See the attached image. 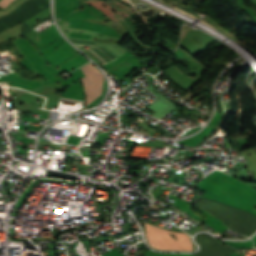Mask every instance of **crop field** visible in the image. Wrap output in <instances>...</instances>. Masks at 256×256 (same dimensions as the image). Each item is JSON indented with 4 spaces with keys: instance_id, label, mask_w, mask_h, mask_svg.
I'll use <instances>...</instances> for the list:
<instances>
[{
    "instance_id": "8a807250",
    "label": "crop field",
    "mask_w": 256,
    "mask_h": 256,
    "mask_svg": "<svg viewBox=\"0 0 256 256\" xmlns=\"http://www.w3.org/2000/svg\"><path fill=\"white\" fill-rule=\"evenodd\" d=\"M146 237L150 246L156 249L165 250H191V239L185 233H174L169 230L157 228L145 223ZM168 233H173L177 236V241L174 240Z\"/></svg>"
},
{
    "instance_id": "ac0d7876",
    "label": "crop field",
    "mask_w": 256,
    "mask_h": 256,
    "mask_svg": "<svg viewBox=\"0 0 256 256\" xmlns=\"http://www.w3.org/2000/svg\"><path fill=\"white\" fill-rule=\"evenodd\" d=\"M49 7L48 0H28L10 14L0 18V31L26 21ZM26 24V23H25ZM23 23L21 36L25 37L32 29Z\"/></svg>"
},
{
    "instance_id": "34b2d1b8",
    "label": "crop field",
    "mask_w": 256,
    "mask_h": 256,
    "mask_svg": "<svg viewBox=\"0 0 256 256\" xmlns=\"http://www.w3.org/2000/svg\"><path fill=\"white\" fill-rule=\"evenodd\" d=\"M86 77L82 78V84L86 93V105L101 95L103 76L91 64L80 68Z\"/></svg>"
},
{
    "instance_id": "412701ff",
    "label": "crop field",
    "mask_w": 256,
    "mask_h": 256,
    "mask_svg": "<svg viewBox=\"0 0 256 256\" xmlns=\"http://www.w3.org/2000/svg\"><path fill=\"white\" fill-rule=\"evenodd\" d=\"M13 0H1L0 1V6L5 8L6 6L9 5L10 2H12Z\"/></svg>"
}]
</instances>
